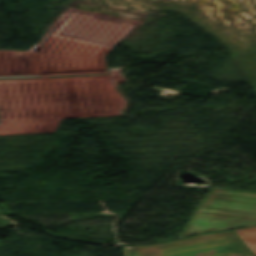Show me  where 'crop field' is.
<instances>
[{
  "label": "crop field",
  "instance_id": "8a807250",
  "mask_svg": "<svg viewBox=\"0 0 256 256\" xmlns=\"http://www.w3.org/2000/svg\"><path fill=\"white\" fill-rule=\"evenodd\" d=\"M121 247L124 256H245L251 254L231 230L197 234L160 244Z\"/></svg>",
  "mask_w": 256,
  "mask_h": 256
},
{
  "label": "crop field",
  "instance_id": "ac0d7876",
  "mask_svg": "<svg viewBox=\"0 0 256 256\" xmlns=\"http://www.w3.org/2000/svg\"><path fill=\"white\" fill-rule=\"evenodd\" d=\"M256 256V227L233 230Z\"/></svg>",
  "mask_w": 256,
  "mask_h": 256
},
{
  "label": "crop field",
  "instance_id": "34b2d1b8",
  "mask_svg": "<svg viewBox=\"0 0 256 256\" xmlns=\"http://www.w3.org/2000/svg\"><path fill=\"white\" fill-rule=\"evenodd\" d=\"M216 190H217V189L213 188V189L210 191V193L205 197V199L201 202V204H202L203 202H205L210 196H212V195L215 193Z\"/></svg>",
  "mask_w": 256,
  "mask_h": 256
},
{
  "label": "crop field",
  "instance_id": "412701ff",
  "mask_svg": "<svg viewBox=\"0 0 256 256\" xmlns=\"http://www.w3.org/2000/svg\"><path fill=\"white\" fill-rule=\"evenodd\" d=\"M250 256H253V255H250Z\"/></svg>",
  "mask_w": 256,
  "mask_h": 256
}]
</instances>
